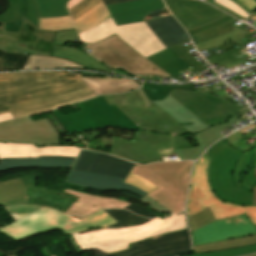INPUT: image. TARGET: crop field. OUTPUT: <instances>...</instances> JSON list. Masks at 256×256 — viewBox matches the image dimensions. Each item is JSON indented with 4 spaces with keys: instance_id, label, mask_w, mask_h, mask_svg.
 Here are the masks:
<instances>
[{
    "instance_id": "obj_18",
    "label": "crop field",
    "mask_w": 256,
    "mask_h": 256,
    "mask_svg": "<svg viewBox=\"0 0 256 256\" xmlns=\"http://www.w3.org/2000/svg\"><path fill=\"white\" fill-rule=\"evenodd\" d=\"M21 179L27 188L28 203L45 205L65 213L76 199L60 190L38 186V176H24Z\"/></svg>"
},
{
    "instance_id": "obj_36",
    "label": "crop field",
    "mask_w": 256,
    "mask_h": 256,
    "mask_svg": "<svg viewBox=\"0 0 256 256\" xmlns=\"http://www.w3.org/2000/svg\"><path fill=\"white\" fill-rule=\"evenodd\" d=\"M246 51L245 46L241 48H232L217 54H214L212 56L206 57L208 62L213 65L217 63L219 66L232 63L234 61L249 57Z\"/></svg>"
},
{
    "instance_id": "obj_14",
    "label": "crop field",
    "mask_w": 256,
    "mask_h": 256,
    "mask_svg": "<svg viewBox=\"0 0 256 256\" xmlns=\"http://www.w3.org/2000/svg\"><path fill=\"white\" fill-rule=\"evenodd\" d=\"M97 155V152L82 150L66 182L99 190L101 192L123 190L139 198H143L147 195L134 186L122 183L124 180L122 178L86 173Z\"/></svg>"
},
{
    "instance_id": "obj_45",
    "label": "crop field",
    "mask_w": 256,
    "mask_h": 256,
    "mask_svg": "<svg viewBox=\"0 0 256 256\" xmlns=\"http://www.w3.org/2000/svg\"><path fill=\"white\" fill-rule=\"evenodd\" d=\"M189 42V41H188ZM185 43V42H184ZM192 48V45L184 48V46L182 45V43H179L175 46H173V49L175 50V52L184 60L186 61L188 64H190L195 70L202 71V70H206L202 65H200L197 61H195L193 59V57L186 51L188 49Z\"/></svg>"
},
{
    "instance_id": "obj_53",
    "label": "crop field",
    "mask_w": 256,
    "mask_h": 256,
    "mask_svg": "<svg viewBox=\"0 0 256 256\" xmlns=\"http://www.w3.org/2000/svg\"><path fill=\"white\" fill-rule=\"evenodd\" d=\"M243 5H245L248 9L253 11L256 8V2L254 0H238Z\"/></svg>"
},
{
    "instance_id": "obj_11",
    "label": "crop field",
    "mask_w": 256,
    "mask_h": 256,
    "mask_svg": "<svg viewBox=\"0 0 256 256\" xmlns=\"http://www.w3.org/2000/svg\"><path fill=\"white\" fill-rule=\"evenodd\" d=\"M0 142L60 146L59 133L48 118L30 117L0 123Z\"/></svg>"
},
{
    "instance_id": "obj_19",
    "label": "crop field",
    "mask_w": 256,
    "mask_h": 256,
    "mask_svg": "<svg viewBox=\"0 0 256 256\" xmlns=\"http://www.w3.org/2000/svg\"><path fill=\"white\" fill-rule=\"evenodd\" d=\"M74 39H78L75 29L70 31H56L51 56L61 57L70 60L77 64L88 67L91 70L110 73L109 69H107L105 66H103L96 60H94L86 53L79 50L64 47L65 42L79 43V40L74 41Z\"/></svg>"
},
{
    "instance_id": "obj_63",
    "label": "crop field",
    "mask_w": 256,
    "mask_h": 256,
    "mask_svg": "<svg viewBox=\"0 0 256 256\" xmlns=\"http://www.w3.org/2000/svg\"><path fill=\"white\" fill-rule=\"evenodd\" d=\"M252 25L256 26V21H254V22L252 23Z\"/></svg>"
},
{
    "instance_id": "obj_20",
    "label": "crop field",
    "mask_w": 256,
    "mask_h": 256,
    "mask_svg": "<svg viewBox=\"0 0 256 256\" xmlns=\"http://www.w3.org/2000/svg\"><path fill=\"white\" fill-rule=\"evenodd\" d=\"M63 192L78 197L66 212V214L77 218L85 217L105 208H125L130 205V203L123 200L92 196L73 190L64 189Z\"/></svg>"
},
{
    "instance_id": "obj_6",
    "label": "crop field",
    "mask_w": 256,
    "mask_h": 256,
    "mask_svg": "<svg viewBox=\"0 0 256 256\" xmlns=\"http://www.w3.org/2000/svg\"><path fill=\"white\" fill-rule=\"evenodd\" d=\"M209 156H203L194 165L191 187L187 199V217L194 215L210 206L216 220L245 213L256 225V206H240L223 202L212 191L208 178Z\"/></svg>"
},
{
    "instance_id": "obj_27",
    "label": "crop field",
    "mask_w": 256,
    "mask_h": 256,
    "mask_svg": "<svg viewBox=\"0 0 256 256\" xmlns=\"http://www.w3.org/2000/svg\"><path fill=\"white\" fill-rule=\"evenodd\" d=\"M95 94L124 93L139 87L131 79L123 78H81Z\"/></svg>"
},
{
    "instance_id": "obj_46",
    "label": "crop field",
    "mask_w": 256,
    "mask_h": 256,
    "mask_svg": "<svg viewBox=\"0 0 256 256\" xmlns=\"http://www.w3.org/2000/svg\"><path fill=\"white\" fill-rule=\"evenodd\" d=\"M124 183H128V184H132L137 186L138 188H140L142 191L146 192V193H151L153 190H155L156 187L155 185H153L151 182H149L148 180L133 175V174H129L128 177L124 180Z\"/></svg>"
},
{
    "instance_id": "obj_66",
    "label": "crop field",
    "mask_w": 256,
    "mask_h": 256,
    "mask_svg": "<svg viewBox=\"0 0 256 256\" xmlns=\"http://www.w3.org/2000/svg\"><path fill=\"white\" fill-rule=\"evenodd\" d=\"M256 1V0H255Z\"/></svg>"
},
{
    "instance_id": "obj_22",
    "label": "crop field",
    "mask_w": 256,
    "mask_h": 256,
    "mask_svg": "<svg viewBox=\"0 0 256 256\" xmlns=\"http://www.w3.org/2000/svg\"><path fill=\"white\" fill-rule=\"evenodd\" d=\"M248 111H250L249 108L244 109L243 111L239 112L235 116L226 120V122H223L221 124H218V125H215V126L209 128L207 130H204V131L194 134V137L200 147L174 149V151L176 152V154L178 155L180 160H185V159L196 160L207 147H209L215 141H217L223 137L218 131L236 123L237 120L235 117L242 115Z\"/></svg>"
},
{
    "instance_id": "obj_31",
    "label": "crop field",
    "mask_w": 256,
    "mask_h": 256,
    "mask_svg": "<svg viewBox=\"0 0 256 256\" xmlns=\"http://www.w3.org/2000/svg\"><path fill=\"white\" fill-rule=\"evenodd\" d=\"M24 19V18H23ZM23 19L10 23H0V49L13 53L20 34Z\"/></svg>"
},
{
    "instance_id": "obj_33",
    "label": "crop field",
    "mask_w": 256,
    "mask_h": 256,
    "mask_svg": "<svg viewBox=\"0 0 256 256\" xmlns=\"http://www.w3.org/2000/svg\"><path fill=\"white\" fill-rule=\"evenodd\" d=\"M110 13L108 12L104 2H102L99 6H97L94 10L89 12L82 18L74 20V24L78 30V32H82L87 30L108 18Z\"/></svg>"
},
{
    "instance_id": "obj_9",
    "label": "crop field",
    "mask_w": 256,
    "mask_h": 256,
    "mask_svg": "<svg viewBox=\"0 0 256 256\" xmlns=\"http://www.w3.org/2000/svg\"><path fill=\"white\" fill-rule=\"evenodd\" d=\"M116 34L144 58L165 47L144 21L116 26L111 17L101 24L79 34L82 43H94Z\"/></svg>"
},
{
    "instance_id": "obj_52",
    "label": "crop field",
    "mask_w": 256,
    "mask_h": 256,
    "mask_svg": "<svg viewBox=\"0 0 256 256\" xmlns=\"http://www.w3.org/2000/svg\"><path fill=\"white\" fill-rule=\"evenodd\" d=\"M232 18H233V17H231V16L228 15V16H226L225 18H223V19H221V20H219V21H217V22H214V23H212V24H210V25H208V26H205V27H201V28H198V29H195V30L188 31V34L191 35V34H194V33H197V32L203 31V30H206V29L213 28V27H215V26H217V25H219V24H221V23H224V22H226V21L231 20Z\"/></svg>"
},
{
    "instance_id": "obj_1",
    "label": "crop field",
    "mask_w": 256,
    "mask_h": 256,
    "mask_svg": "<svg viewBox=\"0 0 256 256\" xmlns=\"http://www.w3.org/2000/svg\"><path fill=\"white\" fill-rule=\"evenodd\" d=\"M103 97L142 130L136 131L131 141L111 136L110 154L134 163L150 164L161 161L163 155H173L172 148L192 147L182 136L189 132L155 104L150 102V108H145L138 90Z\"/></svg>"
},
{
    "instance_id": "obj_2",
    "label": "crop field",
    "mask_w": 256,
    "mask_h": 256,
    "mask_svg": "<svg viewBox=\"0 0 256 256\" xmlns=\"http://www.w3.org/2000/svg\"><path fill=\"white\" fill-rule=\"evenodd\" d=\"M79 77L57 71L0 74V114L11 111L16 118L96 96Z\"/></svg>"
},
{
    "instance_id": "obj_26",
    "label": "crop field",
    "mask_w": 256,
    "mask_h": 256,
    "mask_svg": "<svg viewBox=\"0 0 256 256\" xmlns=\"http://www.w3.org/2000/svg\"><path fill=\"white\" fill-rule=\"evenodd\" d=\"M134 165L115 156L99 153L87 172L125 178Z\"/></svg>"
},
{
    "instance_id": "obj_35",
    "label": "crop field",
    "mask_w": 256,
    "mask_h": 256,
    "mask_svg": "<svg viewBox=\"0 0 256 256\" xmlns=\"http://www.w3.org/2000/svg\"><path fill=\"white\" fill-rule=\"evenodd\" d=\"M143 88L150 100H162L171 92L172 89H184L194 91V84L168 86L145 82ZM153 89L155 90L154 92L152 91Z\"/></svg>"
},
{
    "instance_id": "obj_8",
    "label": "crop field",
    "mask_w": 256,
    "mask_h": 256,
    "mask_svg": "<svg viewBox=\"0 0 256 256\" xmlns=\"http://www.w3.org/2000/svg\"><path fill=\"white\" fill-rule=\"evenodd\" d=\"M89 53L112 69H121L129 75H157L171 77L150 61L141 57L116 35L95 44H84Z\"/></svg>"
},
{
    "instance_id": "obj_61",
    "label": "crop field",
    "mask_w": 256,
    "mask_h": 256,
    "mask_svg": "<svg viewBox=\"0 0 256 256\" xmlns=\"http://www.w3.org/2000/svg\"><path fill=\"white\" fill-rule=\"evenodd\" d=\"M94 230H97V229L87 230V231H84V232H80L78 234L80 235V234H83V233H86V232H90V231H94Z\"/></svg>"
},
{
    "instance_id": "obj_60",
    "label": "crop field",
    "mask_w": 256,
    "mask_h": 256,
    "mask_svg": "<svg viewBox=\"0 0 256 256\" xmlns=\"http://www.w3.org/2000/svg\"><path fill=\"white\" fill-rule=\"evenodd\" d=\"M222 141V140H221ZM221 141H219L218 143H216L215 145H213L206 153L205 155H208V153L217 145L219 144Z\"/></svg>"
},
{
    "instance_id": "obj_24",
    "label": "crop field",
    "mask_w": 256,
    "mask_h": 256,
    "mask_svg": "<svg viewBox=\"0 0 256 256\" xmlns=\"http://www.w3.org/2000/svg\"><path fill=\"white\" fill-rule=\"evenodd\" d=\"M75 158L48 156L40 158L0 159V172L20 168H71Z\"/></svg>"
},
{
    "instance_id": "obj_50",
    "label": "crop field",
    "mask_w": 256,
    "mask_h": 256,
    "mask_svg": "<svg viewBox=\"0 0 256 256\" xmlns=\"http://www.w3.org/2000/svg\"><path fill=\"white\" fill-rule=\"evenodd\" d=\"M212 1H213V0H206V2L211 3V4H213V5H215V6L219 7V8H221L222 10H224V11H226V12L232 14V15H234V16L240 18V19H244L243 17H241L240 15L236 14L235 12H233V11H231V10H229V9H227V8H225V7H223V6L219 5V4H217V3H215V2H212ZM232 1H233L234 3H236L238 6H240L242 9H244L246 12H248L249 14L252 13L250 10H248L245 6H243V5H242L240 2H238L237 0H232ZM221 9H220V10H221Z\"/></svg>"
},
{
    "instance_id": "obj_4",
    "label": "crop field",
    "mask_w": 256,
    "mask_h": 256,
    "mask_svg": "<svg viewBox=\"0 0 256 256\" xmlns=\"http://www.w3.org/2000/svg\"><path fill=\"white\" fill-rule=\"evenodd\" d=\"M183 228H187L184 212L176 216H161L141 226L101 229L80 236L76 233L73 237L83 252L96 249L105 254L128 249L131 243Z\"/></svg>"
},
{
    "instance_id": "obj_65",
    "label": "crop field",
    "mask_w": 256,
    "mask_h": 256,
    "mask_svg": "<svg viewBox=\"0 0 256 256\" xmlns=\"http://www.w3.org/2000/svg\"><path fill=\"white\" fill-rule=\"evenodd\" d=\"M13 256H15V255H13Z\"/></svg>"
},
{
    "instance_id": "obj_62",
    "label": "crop field",
    "mask_w": 256,
    "mask_h": 256,
    "mask_svg": "<svg viewBox=\"0 0 256 256\" xmlns=\"http://www.w3.org/2000/svg\"><path fill=\"white\" fill-rule=\"evenodd\" d=\"M253 15L256 16V10L252 13V15H251L249 18H251ZM249 18H247L246 21H247Z\"/></svg>"
},
{
    "instance_id": "obj_47",
    "label": "crop field",
    "mask_w": 256,
    "mask_h": 256,
    "mask_svg": "<svg viewBox=\"0 0 256 256\" xmlns=\"http://www.w3.org/2000/svg\"><path fill=\"white\" fill-rule=\"evenodd\" d=\"M24 17H27L36 27L38 23L37 5L33 0H23Z\"/></svg>"
},
{
    "instance_id": "obj_59",
    "label": "crop field",
    "mask_w": 256,
    "mask_h": 256,
    "mask_svg": "<svg viewBox=\"0 0 256 256\" xmlns=\"http://www.w3.org/2000/svg\"><path fill=\"white\" fill-rule=\"evenodd\" d=\"M255 176H256V170H255ZM252 191H254V203H253V205H256V186Z\"/></svg>"
},
{
    "instance_id": "obj_21",
    "label": "crop field",
    "mask_w": 256,
    "mask_h": 256,
    "mask_svg": "<svg viewBox=\"0 0 256 256\" xmlns=\"http://www.w3.org/2000/svg\"><path fill=\"white\" fill-rule=\"evenodd\" d=\"M81 148L77 147H43L28 144L0 143V158L39 157L62 155L76 157Z\"/></svg>"
},
{
    "instance_id": "obj_41",
    "label": "crop field",
    "mask_w": 256,
    "mask_h": 256,
    "mask_svg": "<svg viewBox=\"0 0 256 256\" xmlns=\"http://www.w3.org/2000/svg\"><path fill=\"white\" fill-rule=\"evenodd\" d=\"M10 6L2 15L0 22H9L23 18L22 0H9Z\"/></svg>"
},
{
    "instance_id": "obj_10",
    "label": "crop field",
    "mask_w": 256,
    "mask_h": 256,
    "mask_svg": "<svg viewBox=\"0 0 256 256\" xmlns=\"http://www.w3.org/2000/svg\"><path fill=\"white\" fill-rule=\"evenodd\" d=\"M54 33L55 31L37 30L28 19H24L19 41L17 40L18 44L14 52L30 55L24 69H87L64 59L49 57Z\"/></svg>"
},
{
    "instance_id": "obj_16",
    "label": "crop field",
    "mask_w": 256,
    "mask_h": 256,
    "mask_svg": "<svg viewBox=\"0 0 256 256\" xmlns=\"http://www.w3.org/2000/svg\"><path fill=\"white\" fill-rule=\"evenodd\" d=\"M169 10L185 27L191 30L208 25L227 14L197 0H164Z\"/></svg>"
},
{
    "instance_id": "obj_51",
    "label": "crop field",
    "mask_w": 256,
    "mask_h": 256,
    "mask_svg": "<svg viewBox=\"0 0 256 256\" xmlns=\"http://www.w3.org/2000/svg\"><path fill=\"white\" fill-rule=\"evenodd\" d=\"M140 201H143V202L149 204L151 208H153L157 211L170 212L167 209H165L163 206H161L159 203H157L155 200H153L151 197H149L148 195L146 197H144L143 199H140ZM170 213H172V212H170ZM172 214H174V213H172Z\"/></svg>"
},
{
    "instance_id": "obj_28",
    "label": "crop field",
    "mask_w": 256,
    "mask_h": 256,
    "mask_svg": "<svg viewBox=\"0 0 256 256\" xmlns=\"http://www.w3.org/2000/svg\"><path fill=\"white\" fill-rule=\"evenodd\" d=\"M152 63L157 65L159 68L167 72L169 75L173 76L180 82L183 81L177 76L181 75L179 72L190 67L186 62H184L172 49V47L165 49L149 58Z\"/></svg>"
},
{
    "instance_id": "obj_54",
    "label": "crop field",
    "mask_w": 256,
    "mask_h": 256,
    "mask_svg": "<svg viewBox=\"0 0 256 256\" xmlns=\"http://www.w3.org/2000/svg\"><path fill=\"white\" fill-rule=\"evenodd\" d=\"M69 241L71 242L72 246L74 247L75 251L77 252V254L81 253V249L79 248L78 244L76 243V241L74 240V238L72 237V235L67 236Z\"/></svg>"
},
{
    "instance_id": "obj_17",
    "label": "crop field",
    "mask_w": 256,
    "mask_h": 256,
    "mask_svg": "<svg viewBox=\"0 0 256 256\" xmlns=\"http://www.w3.org/2000/svg\"><path fill=\"white\" fill-rule=\"evenodd\" d=\"M107 8L116 25L148 20L169 14L162 0H136L108 5Z\"/></svg>"
},
{
    "instance_id": "obj_49",
    "label": "crop field",
    "mask_w": 256,
    "mask_h": 256,
    "mask_svg": "<svg viewBox=\"0 0 256 256\" xmlns=\"http://www.w3.org/2000/svg\"><path fill=\"white\" fill-rule=\"evenodd\" d=\"M214 1L230 8L231 10L235 11L236 13L240 14L245 18L249 15L245 11H243L240 7H238L236 4H234L229 0H214Z\"/></svg>"
},
{
    "instance_id": "obj_55",
    "label": "crop field",
    "mask_w": 256,
    "mask_h": 256,
    "mask_svg": "<svg viewBox=\"0 0 256 256\" xmlns=\"http://www.w3.org/2000/svg\"><path fill=\"white\" fill-rule=\"evenodd\" d=\"M249 58H246V59H243V60H240V61H237L235 63H232V64H229V65H225L227 69L233 67V66H236V65H239V64H243V63H246V62H249Z\"/></svg>"
},
{
    "instance_id": "obj_13",
    "label": "crop field",
    "mask_w": 256,
    "mask_h": 256,
    "mask_svg": "<svg viewBox=\"0 0 256 256\" xmlns=\"http://www.w3.org/2000/svg\"><path fill=\"white\" fill-rule=\"evenodd\" d=\"M16 221L0 228V232L17 240H23L64 225L77 219L65 216L49 208H41L32 214L11 215Z\"/></svg>"
},
{
    "instance_id": "obj_25",
    "label": "crop field",
    "mask_w": 256,
    "mask_h": 256,
    "mask_svg": "<svg viewBox=\"0 0 256 256\" xmlns=\"http://www.w3.org/2000/svg\"><path fill=\"white\" fill-rule=\"evenodd\" d=\"M152 102L161 107L168 115H170L174 120H176L192 134L208 128L206 124L191 114L169 95L164 99V101Z\"/></svg>"
},
{
    "instance_id": "obj_7",
    "label": "crop field",
    "mask_w": 256,
    "mask_h": 256,
    "mask_svg": "<svg viewBox=\"0 0 256 256\" xmlns=\"http://www.w3.org/2000/svg\"><path fill=\"white\" fill-rule=\"evenodd\" d=\"M78 104L82 112L67 115H62L59 109L53 112L66 132H80L107 126L140 130L114 105L109 106L102 96Z\"/></svg>"
},
{
    "instance_id": "obj_43",
    "label": "crop field",
    "mask_w": 256,
    "mask_h": 256,
    "mask_svg": "<svg viewBox=\"0 0 256 256\" xmlns=\"http://www.w3.org/2000/svg\"><path fill=\"white\" fill-rule=\"evenodd\" d=\"M101 2V0H84L83 2L77 4L75 7L69 10L72 19L74 20L85 15Z\"/></svg>"
},
{
    "instance_id": "obj_23",
    "label": "crop field",
    "mask_w": 256,
    "mask_h": 256,
    "mask_svg": "<svg viewBox=\"0 0 256 256\" xmlns=\"http://www.w3.org/2000/svg\"><path fill=\"white\" fill-rule=\"evenodd\" d=\"M145 22L166 48L189 40L188 34L171 14Z\"/></svg>"
},
{
    "instance_id": "obj_42",
    "label": "crop field",
    "mask_w": 256,
    "mask_h": 256,
    "mask_svg": "<svg viewBox=\"0 0 256 256\" xmlns=\"http://www.w3.org/2000/svg\"><path fill=\"white\" fill-rule=\"evenodd\" d=\"M213 221H215V218L208 207L199 214L188 218L190 232Z\"/></svg>"
},
{
    "instance_id": "obj_40",
    "label": "crop field",
    "mask_w": 256,
    "mask_h": 256,
    "mask_svg": "<svg viewBox=\"0 0 256 256\" xmlns=\"http://www.w3.org/2000/svg\"><path fill=\"white\" fill-rule=\"evenodd\" d=\"M240 32H243L241 30V28H239V29H237V30H235L231 33H228V34L219 36L217 38L211 39L207 42L196 44V47L198 48L199 51H201V50H204V49L216 46V45H220V44H223V43H226V42H229V41L234 42L236 40H239V39L245 37Z\"/></svg>"
},
{
    "instance_id": "obj_64",
    "label": "crop field",
    "mask_w": 256,
    "mask_h": 256,
    "mask_svg": "<svg viewBox=\"0 0 256 256\" xmlns=\"http://www.w3.org/2000/svg\"><path fill=\"white\" fill-rule=\"evenodd\" d=\"M251 256H256V255H251Z\"/></svg>"
},
{
    "instance_id": "obj_5",
    "label": "crop field",
    "mask_w": 256,
    "mask_h": 256,
    "mask_svg": "<svg viewBox=\"0 0 256 256\" xmlns=\"http://www.w3.org/2000/svg\"><path fill=\"white\" fill-rule=\"evenodd\" d=\"M191 165L192 161L136 165L131 173L142 176L158 186L159 188L149 195L168 210L179 213L184 210Z\"/></svg>"
},
{
    "instance_id": "obj_30",
    "label": "crop field",
    "mask_w": 256,
    "mask_h": 256,
    "mask_svg": "<svg viewBox=\"0 0 256 256\" xmlns=\"http://www.w3.org/2000/svg\"><path fill=\"white\" fill-rule=\"evenodd\" d=\"M114 223H116V221H114L106 213L101 211L97 214H94V215L88 217V218L79 220L72 225H68L63 228H60L59 230H61L64 235H68V234L76 233L79 231L87 230L91 227L105 228Z\"/></svg>"
},
{
    "instance_id": "obj_37",
    "label": "crop field",
    "mask_w": 256,
    "mask_h": 256,
    "mask_svg": "<svg viewBox=\"0 0 256 256\" xmlns=\"http://www.w3.org/2000/svg\"><path fill=\"white\" fill-rule=\"evenodd\" d=\"M28 55L9 54L0 51V71L22 70Z\"/></svg>"
},
{
    "instance_id": "obj_38",
    "label": "crop field",
    "mask_w": 256,
    "mask_h": 256,
    "mask_svg": "<svg viewBox=\"0 0 256 256\" xmlns=\"http://www.w3.org/2000/svg\"><path fill=\"white\" fill-rule=\"evenodd\" d=\"M236 20L237 19L234 18L233 20H231L227 23H224L214 29L206 30V31L191 35L190 37H191L192 41L194 42V44L207 41L211 38L217 37L219 35L228 33L230 31L236 29L235 27L230 25L231 23L235 22Z\"/></svg>"
},
{
    "instance_id": "obj_39",
    "label": "crop field",
    "mask_w": 256,
    "mask_h": 256,
    "mask_svg": "<svg viewBox=\"0 0 256 256\" xmlns=\"http://www.w3.org/2000/svg\"><path fill=\"white\" fill-rule=\"evenodd\" d=\"M75 28L70 17L39 19L38 29L69 30Z\"/></svg>"
},
{
    "instance_id": "obj_56",
    "label": "crop field",
    "mask_w": 256,
    "mask_h": 256,
    "mask_svg": "<svg viewBox=\"0 0 256 256\" xmlns=\"http://www.w3.org/2000/svg\"><path fill=\"white\" fill-rule=\"evenodd\" d=\"M139 92H140V94H141V96H142V98H143V100H144V102H145L146 107H149V105H150V104H149V99H148V97L146 96V94H145L143 88L139 89Z\"/></svg>"
},
{
    "instance_id": "obj_58",
    "label": "crop field",
    "mask_w": 256,
    "mask_h": 256,
    "mask_svg": "<svg viewBox=\"0 0 256 256\" xmlns=\"http://www.w3.org/2000/svg\"><path fill=\"white\" fill-rule=\"evenodd\" d=\"M83 0H71L69 3H68V9L72 8L73 6H75L77 3L81 2Z\"/></svg>"
},
{
    "instance_id": "obj_3",
    "label": "crop field",
    "mask_w": 256,
    "mask_h": 256,
    "mask_svg": "<svg viewBox=\"0 0 256 256\" xmlns=\"http://www.w3.org/2000/svg\"><path fill=\"white\" fill-rule=\"evenodd\" d=\"M223 140L210 153L209 177L213 191L223 201L252 205L256 185V147L247 154L227 145Z\"/></svg>"
},
{
    "instance_id": "obj_15",
    "label": "crop field",
    "mask_w": 256,
    "mask_h": 256,
    "mask_svg": "<svg viewBox=\"0 0 256 256\" xmlns=\"http://www.w3.org/2000/svg\"><path fill=\"white\" fill-rule=\"evenodd\" d=\"M256 234V228L245 214L215 221L191 233L193 245L218 242Z\"/></svg>"
},
{
    "instance_id": "obj_32",
    "label": "crop field",
    "mask_w": 256,
    "mask_h": 256,
    "mask_svg": "<svg viewBox=\"0 0 256 256\" xmlns=\"http://www.w3.org/2000/svg\"><path fill=\"white\" fill-rule=\"evenodd\" d=\"M251 244H256V235L233 240H226L218 243L194 246L192 247V251H194V254H197L203 252L226 250Z\"/></svg>"
},
{
    "instance_id": "obj_44",
    "label": "crop field",
    "mask_w": 256,
    "mask_h": 256,
    "mask_svg": "<svg viewBox=\"0 0 256 256\" xmlns=\"http://www.w3.org/2000/svg\"><path fill=\"white\" fill-rule=\"evenodd\" d=\"M254 252H256V245L245 246V247H240V248L226 250V251L191 255V256H239V255H244V254H249Z\"/></svg>"
},
{
    "instance_id": "obj_48",
    "label": "crop field",
    "mask_w": 256,
    "mask_h": 256,
    "mask_svg": "<svg viewBox=\"0 0 256 256\" xmlns=\"http://www.w3.org/2000/svg\"><path fill=\"white\" fill-rule=\"evenodd\" d=\"M39 208L41 207L35 206V205H23V204L5 206V209L9 214L31 213Z\"/></svg>"
},
{
    "instance_id": "obj_29",
    "label": "crop field",
    "mask_w": 256,
    "mask_h": 256,
    "mask_svg": "<svg viewBox=\"0 0 256 256\" xmlns=\"http://www.w3.org/2000/svg\"><path fill=\"white\" fill-rule=\"evenodd\" d=\"M27 203L26 188L20 177L0 181V205Z\"/></svg>"
},
{
    "instance_id": "obj_57",
    "label": "crop field",
    "mask_w": 256,
    "mask_h": 256,
    "mask_svg": "<svg viewBox=\"0 0 256 256\" xmlns=\"http://www.w3.org/2000/svg\"><path fill=\"white\" fill-rule=\"evenodd\" d=\"M11 118H13V117H12V115H11L10 112L0 115V121H2V120H7V119H11Z\"/></svg>"
},
{
    "instance_id": "obj_34",
    "label": "crop field",
    "mask_w": 256,
    "mask_h": 256,
    "mask_svg": "<svg viewBox=\"0 0 256 256\" xmlns=\"http://www.w3.org/2000/svg\"><path fill=\"white\" fill-rule=\"evenodd\" d=\"M38 4L39 18L67 16L66 4L69 0H34Z\"/></svg>"
},
{
    "instance_id": "obj_12",
    "label": "crop field",
    "mask_w": 256,
    "mask_h": 256,
    "mask_svg": "<svg viewBox=\"0 0 256 256\" xmlns=\"http://www.w3.org/2000/svg\"><path fill=\"white\" fill-rule=\"evenodd\" d=\"M169 95L209 127L243 110L233 103L208 93L172 90Z\"/></svg>"
}]
</instances>
